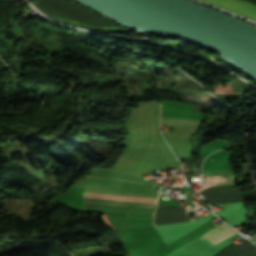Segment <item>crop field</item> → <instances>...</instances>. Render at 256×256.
I'll return each mask as SVG.
<instances>
[{
  "instance_id": "crop-field-2",
  "label": "crop field",
  "mask_w": 256,
  "mask_h": 256,
  "mask_svg": "<svg viewBox=\"0 0 256 256\" xmlns=\"http://www.w3.org/2000/svg\"><path fill=\"white\" fill-rule=\"evenodd\" d=\"M233 234L235 233L231 229H229L224 223H222L219 226L207 231L201 236H203L215 245Z\"/></svg>"
},
{
  "instance_id": "crop-field-1",
  "label": "crop field",
  "mask_w": 256,
  "mask_h": 256,
  "mask_svg": "<svg viewBox=\"0 0 256 256\" xmlns=\"http://www.w3.org/2000/svg\"><path fill=\"white\" fill-rule=\"evenodd\" d=\"M85 204L143 206V207H155L156 205V204H150V203H138V202L115 201V200L92 199V198H86ZM84 209L99 210V211L127 212L128 217L153 218V215H154V212H145V211H128V210L94 209V208H84Z\"/></svg>"
}]
</instances>
